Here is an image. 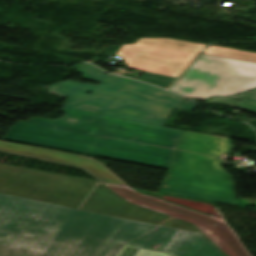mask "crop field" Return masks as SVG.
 Segmentation results:
<instances>
[{
    "label": "crop field",
    "mask_w": 256,
    "mask_h": 256,
    "mask_svg": "<svg viewBox=\"0 0 256 256\" xmlns=\"http://www.w3.org/2000/svg\"><path fill=\"white\" fill-rule=\"evenodd\" d=\"M76 72L101 83L65 80L50 85L48 93L68 97L60 110L66 116L16 122L3 139L166 168L182 131L163 124L184 99L131 79L107 76L86 63ZM197 106L187 100L177 109L192 111Z\"/></svg>",
    "instance_id": "1"
},
{
    "label": "crop field",
    "mask_w": 256,
    "mask_h": 256,
    "mask_svg": "<svg viewBox=\"0 0 256 256\" xmlns=\"http://www.w3.org/2000/svg\"><path fill=\"white\" fill-rule=\"evenodd\" d=\"M0 256L222 255L197 233L0 193Z\"/></svg>",
    "instance_id": "2"
},
{
    "label": "crop field",
    "mask_w": 256,
    "mask_h": 256,
    "mask_svg": "<svg viewBox=\"0 0 256 256\" xmlns=\"http://www.w3.org/2000/svg\"><path fill=\"white\" fill-rule=\"evenodd\" d=\"M0 192L197 232L192 226L171 217L167 218L165 215L127 203L95 181L0 164Z\"/></svg>",
    "instance_id": "3"
},
{
    "label": "crop field",
    "mask_w": 256,
    "mask_h": 256,
    "mask_svg": "<svg viewBox=\"0 0 256 256\" xmlns=\"http://www.w3.org/2000/svg\"><path fill=\"white\" fill-rule=\"evenodd\" d=\"M233 150L230 138L185 131L160 192L237 206L232 175L217 159Z\"/></svg>",
    "instance_id": "4"
},
{
    "label": "crop field",
    "mask_w": 256,
    "mask_h": 256,
    "mask_svg": "<svg viewBox=\"0 0 256 256\" xmlns=\"http://www.w3.org/2000/svg\"><path fill=\"white\" fill-rule=\"evenodd\" d=\"M255 87L256 63L202 54L170 91L192 99H208Z\"/></svg>",
    "instance_id": "5"
},
{
    "label": "crop field",
    "mask_w": 256,
    "mask_h": 256,
    "mask_svg": "<svg viewBox=\"0 0 256 256\" xmlns=\"http://www.w3.org/2000/svg\"><path fill=\"white\" fill-rule=\"evenodd\" d=\"M205 45L171 39H139L116 55L128 68L177 78Z\"/></svg>",
    "instance_id": "6"
},
{
    "label": "crop field",
    "mask_w": 256,
    "mask_h": 256,
    "mask_svg": "<svg viewBox=\"0 0 256 256\" xmlns=\"http://www.w3.org/2000/svg\"><path fill=\"white\" fill-rule=\"evenodd\" d=\"M108 187L128 202L166 213L194 224L228 256H249L240 246L231 230L219 221L145 197L129 189Z\"/></svg>",
    "instance_id": "7"
},
{
    "label": "crop field",
    "mask_w": 256,
    "mask_h": 256,
    "mask_svg": "<svg viewBox=\"0 0 256 256\" xmlns=\"http://www.w3.org/2000/svg\"><path fill=\"white\" fill-rule=\"evenodd\" d=\"M0 151L78 167L85 170L87 173L100 181L124 186V184L113 176L108 170L92 159L3 142H0Z\"/></svg>",
    "instance_id": "8"
},
{
    "label": "crop field",
    "mask_w": 256,
    "mask_h": 256,
    "mask_svg": "<svg viewBox=\"0 0 256 256\" xmlns=\"http://www.w3.org/2000/svg\"><path fill=\"white\" fill-rule=\"evenodd\" d=\"M204 104L230 105L256 114V89L232 97H215Z\"/></svg>",
    "instance_id": "9"
},
{
    "label": "crop field",
    "mask_w": 256,
    "mask_h": 256,
    "mask_svg": "<svg viewBox=\"0 0 256 256\" xmlns=\"http://www.w3.org/2000/svg\"><path fill=\"white\" fill-rule=\"evenodd\" d=\"M203 53L221 56V57L256 62V53H250V52H246V51H238L236 49H231V48H221V47H216V46H209Z\"/></svg>",
    "instance_id": "10"
},
{
    "label": "crop field",
    "mask_w": 256,
    "mask_h": 256,
    "mask_svg": "<svg viewBox=\"0 0 256 256\" xmlns=\"http://www.w3.org/2000/svg\"><path fill=\"white\" fill-rule=\"evenodd\" d=\"M137 80L150 83L159 87H163L165 89L169 88L170 85L174 82V78H169L165 76L155 75L151 73L143 72Z\"/></svg>",
    "instance_id": "11"
},
{
    "label": "crop field",
    "mask_w": 256,
    "mask_h": 256,
    "mask_svg": "<svg viewBox=\"0 0 256 256\" xmlns=\"http://www.w3.org/2000/svg\"><path fill=\"white\" fill-rule=\"evenodd\" d=\"M41 149V148H40ZM46 150V149H45ZM52 151V150H51ZM57 152V151H56ZM63 153V152H62ZM67 154H69V153H67ZM74 155V154H73ZM80 156V155H79Z\"/></svg>",
    "instance_id": "12"
},
{
    "label": "crop field",
    "mask_w": 256,
    "mask_h": 256,
    "mask_svg": "<svg viewBox=\"0 0 256 256\" xmlns=\"http://www.w3.org/2000/svg\"><path fill=\"white\" fill-rule=\"evenodd\" d=\"M101 138L106 139V138H104V137H101Z\"/></svg>",
    "instance_id": "13"
}]
</instances>
